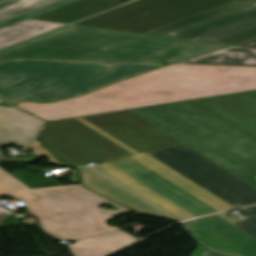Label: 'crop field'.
Here are the masks:
<instances>
[{"label": "crop field", "mask_w": 256, "mask_h": 256, "mask_svg": "<svg viewBox=\"0 0 256 256\" xmlns=\"http://www.w3.org/2000/svg\"><path fill=\"white\" fill-rule=\"evenodd\" d=\"M144 34L230 45L256 36V0H235Z\"/></svg>", "instance_id": "crop-field-7"}, {"label": "crop field", "mask_w": 256, "mask_h": 256, "mask_svg": "<svg viewBox=\"0 0 256 256\" xmlns=\"http://www.w3.org/2000/svg\"><path fill=\"white\" fill-rule=\"evenodd\" d=\"M241 211L247 214L250 218L233 224L256 238V206L241 209Z\"/></svg>", "instance_id": "crop-field-20"}, {"label": "crop field", "mask_w": 256, "mask_h": 256, "mask_svg": "<svg viewBox=\"0 0 256 256\" xmlns=\"http://www.w3.org/2000/svg\"><path fill=\"white\" fill-rule=\"evenodd\" d=\"M2 190L24 201L50 234L68 241L119 231L118 227L107 226L105 221L131 212L79 184L30 189L0 168ZM102 203H110L120 210H101Z\"/></svg>", "instance_id": "crop-field-6"}, {"label": "crop field", "mask_w": 256, "mask_h": 256, "mask_svg": "<svg viewBox=\"0 0 256 256\" xmlns=\"http://www.w3.org/2000/svg\"><path fill=\"white\" fill-rule=\"evenodd\" d=\"M225 45L69 25L0 51V58L171 64Z\"/></svg>", "instance_id": "crop-field-3"}, {"label": "crop field", "mask_w": 256, "mask_h": 256, "mask_svg": "<svg viewBox=\"0 0 256 256\" xmlns=\"http://www.w3.org/2000/svg\"><path fill=\"white\" fill-rule=\"evenodd\" d=\"M40 142L61 162L97 170L182 220L233 209L146 152L181 144L129 110L53 121Z\"/></svg>", "instance_id": "crop-field-1"}, {"label": "crop field", "mask_w": 256, "mask_h": 256, "mask_svg": "<svg viewBox=\"0 0 256 256\" xmlns=\"http://www.w3.org/2000/svg\"><path fill=\"white\" fill-rule=\"evenodd\" d=\"M254 89L256 67L172 64L74 99L16 106L50 121Z\"/></svg>", "instance_id": "crop-field-2"}, {"label": "crop field", "mask_w": 256, "mask_h": 256, "mask_svg": "<svg viewBox=\"0 0 256 256\" xmlns=\"http://www.w3.org/2000/svg\"><path fill=\"white\" fill-rule=\"evenodd\" d=\"M74 1H77V0H62V1L50 4V5H47L45 7H42V8H39V9L30 11V12H27V13H25L23 15L15 17V18H13L11 20H8V21L5 20L6 22L0 23V29L5 28L7 26H10L12 24L18 23V22L23 21L25 19L31 18V17L36 16L38 14H41L43 12L49 11L51 9H54V8L63 6L65 4L74 2Z\"/></svg>", "instance_id": "crop-field-19"}, {"label": "crop field", "mask_w": 256, "mask_h": 256, "mask_svg": "<svg viewBox=\"0 0 256 256\" xmlns=\"http://www.w3.org/2000/svg\"><path fill=\"white\" fill-rule=\"evenodd\" d=\"M84 187L139 213L175 220L92 168L78 170Z\"/></svg>", "instance_id": "crop-field-12"}, {"label": "crop field", "mask_w": 256, "mask_h": 256, "mask_svg": "<svg viewBox=\"0 0 256 256\" xmlns=\"http://www.w3.org/2000/svg\"><path fill=\"white\" fill-rule=\"evenodd\" d=\"M41 126L42 121L20 110L0 106V146L29 145L36 139ZM5 158L0 151V160Z\"/></svg>", "instance_id": "crop-field-13"}, {"label": "crop field", "mask_w": 256, "mask_h": 256, "mask_svg": "<svg viewBox=\"0 0 256 256\" xmlns=\"http://www.w3.org/2000/svg\"><path fill=\"white\" fill-rule=\"evenodd\" d=\"M64 24L25 20L13 26L0 30V48L36 36Z\"/></svg>", "instance_id": "crop-field-17"}, {"label": "crop field", "mask_w": 256, "mask_h": 256, "mask_svg": "<svg viewBox=\"0 0 256 256\" xmlns=\"http://www.w3.org/2000/svg\"><path fill=\"white\" fill-rule=\"evenodd\" d=\"M56 1L59 0H2L0 1V22Z\"/></svg>", "instance_id": "crop-field-18"}, {"label": "crop field", "mask_w": 256, "mask_h": 256, "mask_svg": "<svg viewBox=\"0 0 256 256\" xmlns=\"http://www.w3.org/2000/svg\"><path fill=\"white\" fill-rule=\"evenodd\" d=\"M191 256H226V255L213 252L199 244L198 247L191 254Z\"/></svg>", "instance_id": "crop-field-21"}, {"label": "crop field", "mask_w": 256, "mask_h": 256, "mask_svg": "<svg viewBox=\"0 0 256 256\" xmlns=\"http://www.w3.org/2000/svg\"><path fill=\"white\" fill-rule=\"evenodd\" d=\"M137 240L139 239L119 231L79 240L71 247L76 256H107Z\"/></svg>", "instance_id": "crop-field-15"}, {"label": "crop field", "mask_w": 256, "mask_h": 256, "mask_svg": "<svg viewBox=\"0 0 256 256\" xmlns=\"http://www.w3.org/2000/svg\"><path fill=\"white\" fill-rule=\"evenodd\" d=\"M148 154L235 208L256 203V189L184 144Z\"/></svg>", "instance_id": "crop-field-9"}, {"label": "crop field", "mask_w": 256, "mask_h": 256, "mask_svg": "<svg viewBox=\"0 0 256 256\" xmlns=\"http://www.w3.org/2000/svg\"><path fill=\"white\" fill-rule=\"evenodd\" d=\"M71 173H73V175L70 177L71 182H73L74 184L78 183V176H77L76 172L73 171Z\"/></svg>", "instance_id": "crop-field-24"}, {"label": "crop field", "mask_w": 256, "mask_h": 256, "mask_svg": "<svg viewBox=\"0 0 256 256\" xmlns=\"http://www.w3.org/2000/svg\"><path fill=\"white\" fill-rule=\"evenodd\" d=\"M232 0H137L75 25L142 33Z\"/></svg>", "instance_id": "crop-field-8"}, {"label": "crop field", "mask_w": 256, "mask_h": 256, "mask_svg": "<svg viewBox=\"0 0 256 256\" xmlns=\"http://www.w3.org/2000/svg\"><path fill=\"white\" fill-rule=\"evenodd\" d=\"M202 243L233 256H256V239L214 215L185 222Z\"/></svg>", "instance_id": "crop-field-10"}, {"label": "crop field", "mask_w": 256, "mask_h": 256, "mask_svg": "<svg viewBox=\"0 0 256 256\" xmlns=\"http://www.w3.org/2000/svg\"><path fill=\"white\" fill-rule=\"evenodd\" d=\"M1 102V101H0Z\"/></svg>", "instance_id": "crop-field-27"}, {"label": "crop field", "mask_w": 256, "mask_h": 256, "mask_svg": "<svg viewBox=\"0 0 256 256\" xmlns=\"http://www.w3.org/2000/svg\"><path fill=\"white\" fill-rule=\"evenodd\" d=\"M4 195H9V196H11V197H14V196L10 195L9 193H7V192H5V191L0 192V196H4ZM14 198H15V197H14Z\"/></svg>", "instance_id": "crop-field-26"}, {"label": "crop field", "mask_w": 256, "mask_h": 256, "mask_svg": "<svg viewBox=\"0 0 256 256\" xmlns=\"http://www.w3.org/2000/svg\"><path fill=\"white\" fill-rule=\"evenodd\" d=\"M34 148H36L38 151H40L45 157H47L50 161H48L47 163H54L56 165L59 166H65L64 164L55 161L50 155L49 153L40 145V143L36 140L32 145H30Z\"/></svg>", "instance_id": "crop-field-22"}, {"label": "crop field", "mask_w": 256, "mask_h": 256, "mask_svg": "<svg viewBox=\"0 0 256 256\" xmlns=\"http://www.w3.org/2000/svg\"><path fill=\"white\" fill-rule=\"evenodd\" d=\"M121 4L124 3L119 0H79L33 17V19L70 23Z\"/></svg>", "instance_id": "crop-field-14"}, {"label": "crop field", "mask_w": 256, "mask_h": 256, "mask_svg": "<svg viewBox=\"0 0 256 256\" xmlns=\"http://www.w3.org/2000/svg\"><path fill=\"white\" fill-rule=\"evenodd\" d=\"M179 64L256 66V50L230 46Z\"/></svg>", "instance_id": "crop-field-16"}, {"label": "crop field", "mask_w": 256, "mask_h": 256, "mask_svg": "<svg viewBox=\"0 0 256 256\" xmlns=\"http://www.w3.org/2000/svg\"><path fill=\"white\" fill-rule=\"evenodd\" d=\"M198 101L256 137V91Z\"/></svg>", "instance_id": "crop-field-11"}, {"label": "crop field", "mask_w": 256, "mask_h": 256, "mask_svg": "<svg viewBox=\"0 0 256 256\" xmlns=\"http://www.w3.org/2000/svg\"><path fill=\"white\" fill-rule=\"evenodd\" d=\"M234 46H239V47H247V48H254L256 49V38L252 40H248L239 44H236Z\"/></svg>", "instance_id": "crop-field-23"}, {"label": "crop field", "mask_w": 256, "mask_h": 256, "mask_svg": "<svg viewBox=\"0 0 256 256\" xmlns=\"http://www.w3.org/2000/svg\"><path fill=\"white\" fill-rule=\"evenodd\" d=\"M132 111L244 182L256 176V139L197 101Z\"/></svg>", "instance_id": "crop-field-4"}, {"label": "crop field", "mask_w": 256, "mask_h": 256, "mask_svg": "<svg viewBox=\"0 0 256 256\" xmlns=\"http://www.w3.org/2000/svg\"><path fill=\"white\" fill-rule=\"evenodd\" d=\"M246 183H248V184H250L251 186H253L254 188H256V179H255V178L252 179V180H250V181H248V182H246Z\"/></svg>", "instance_id": "crop-field-25"}, {"label": "crop field", "mask_w": 256, "mask_h": 256, "mask_svg": "<svg viewBox=\"0 0 256 256\" xmlns=\"http://www.w3.org/2000/svg\"><path fill=\"white\" fill-rule=\"evenodd\" d=\"M164 64L0 60V99L56 101L154 69Z\"/></svg>", "instance_id": "crop-field-5"}]
</instances>
